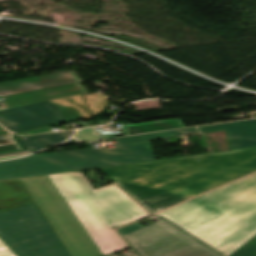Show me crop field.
Listing matches in <instances>:
<instances>
[{"label": "crop field", "instance_id": "cbeb9de0", "mask_svg": "<svg viewBox=\"0 0 256 256\" xmlns=\"http://www.w3.org/2000/svg\"><path fill=\"white\" fill-rule=\"evenodd\" d=\"M84 97L92 115L104 110L108 101L105 96L99 93L88 94Z\"/></svg>", "mask_w": 256, "mask_h": 256}, {"label": "crop field", "instance_id": "8a807250", "mask_svg": "<svg viewBox=\"0 0 256 256\" xmlns=\"http://www.w3.org/2000/svg\"><path fill=\"white\" fill-rule=\"evenodd\" d=\"M100 170L153 214L256 171V148Z\"/></svg>", "mask_w": 256, "mask_h": 256}, {"label": "crop field", "instance_id": "3316defc", "mask_svg": "<svg viewBox=\"0 0 256 256\" xmlns=\"http://www.w3.org/2000/svg\"><path fill=\"white\" fill-rule=\"evenodd\" d=\"M81 80L73 73H61L37 78L22 79L0 83V97L24 93L28 91L54 87Z\"/></svg>", "mask_w": 256, "mask_h": 256}, {"label": "crop field", "instance_id": "e52e79f7", "mask_svg": "<svg viewBox=\"0 0 256 256\" xmlns=\"http://www.w3.org/2000/svg\"><path fill=\"white\" fill-rule=\"evenodd\" d=\"M139 256H213L160 221L117 230Z\"/></svg>", "mask_w": 256, "mask_h": 256}, {"label": "crop field", "instance_id": "f4fd0767", "mask_svg": "<svg viewBox=\"0 0 256 256\" xmlns=\"http://www.w3.org/2000/svg\"><path fill=\"white\" fill-rule=\"evenodd\" d=\"M33 203L18 179L0 181V237L18 256H70Z\"/></svg>", "mask_w": 256, "mask_h": 256}, {"label": "crop field", "instance_id": "92a150f3", "mask_svg": "<svg viewBox=\"0 0 256 256\" xmlns=\"http://www.w3.org/2000/svg\"><path fill=\"white\" fill-rule=\"evenodd\" d=\"M110 256H116L115 254H113V255H110Z\"/></svg>", "mask_w": 256, "mask_h": 256}, {"label": "crop field", "instance_id": "bc2a9ffb", "mask_svg": "<svg viewBox=\"0 0 256 256\" xmlns=\"http://www.w3.org/2000/svg\"><path fill=\"white\" fill-rule=\"evenodd\" d=\"M73 142H78V141H76V140H74V139H71V140H69L68 142L63 143V144H69V143H73ZM63 144H61V145H63Z\"/></svg>", "mask_w": 256, "mask_h": 256}, {"label": "crop field", "instance_id": "d8731c3e", "mask_svg": "<svg viewBox=\"0 0 256 256\" xmlns=\"http://www.w3.org/2000/svg\"><path fill=\"white\" fill-rule=\"evenodd\" d=\"M77 118H90L81 95L0 111V123L13 132Z\"/></svg>", "mask_w": 256, "mask_h": 256}, {"label": "crop field", "instance_id": "dd49c442", "mask_svg": "<svg viewBox=\"0 0 256 256\" xmlns=\"http://www.w3.org/2000/svg\"><path fill=\"white\" fill-rule=\"evenodd\" d=\"M19 181L73 256H102L47 175Z\"/></svg>", "mask_w": 256, "mask_h": 256}, {"label": "crop field", "instance_id": "4a817a6b", "mask_svg": "<svg viewBox=\"0 0 256 256\" xmlns=\"http://www.w3.org/2000/svg\"><path fill=\"white\" fill-rule=\"evenodd\" d=\"M49 131H52L51 127L50 126H45V127H40V128L31 130V131H28V132L19 133V134H21V135H30V134H36V133L49 132Z\"/></svg>", "mask_w": 256, "mask_h": 256}, {"label": "crop field", "instance_id": "5a996713", "mask_svg": "<svg viewBox=\"0 0 256 256\" xmlns=\"http://www.w3.org/2000/svg\"><path fill=\"white\" fill-rule=\"evenodd\" d=\"M74 131L40 134V135H34V136H28V137H19L18 140L24 146L26 151L0 155V160L29 154L34 151L40 150L44 147H48L50 145L60 143L68 139L73 134ZM17 150H22V149L15 142L13 138V134H11L10 132H8L7 130H5L0 126V153L17 151Z\"/></svg>", "mask_w": 256, "mask_h": 256}, {"label": "crop field", "instance_id": "733c2abd", "mask_svg": "<svg viewBox=\"0 0 256 256\" xmlns=\"http://www.w3.org/2000/svg\"><path fill=\"white\" fill-rule=\"evenodd\" d=\"M0 256H17V255L0 239Z\"/></svg>", "mask_w": 256, "mask_h": 256}, {"label": "crop field", "instance_id": "214f88e0", "mask_svg": "<svg viewBox=\"0 0 256 256\" xmlns=\"http://www.w3.org/2000/svg\"><path fill=\"white\" fill-rule=\"evenodd\" d=\"M252 117H256V113H253V114H252Z\"/></svg>", "mask_w": 256, "mask_h": 256}, {"label": "crop field", "instance_id": "412701ff", "mask_svg": "<svg viewBox=\"0 0 256 256\" xmlns=\"http://www.w3.org/2000/svg\"><path fill=\"white\" fill-rule=\"evenodd\" d=\"M197 133L195 128L117 138L115 148L90 149L40 155L0 162V180L94 169L155 160L148 140Z\"/></svg>", "mask_w": 256, "mask_h": 256}, {"label": "crop field", "instance_id": "d1516ede", "mask_svg": "<svg viewBox=\"0 0 256 256\" xmlns=\"http://www.w3.org/2000/svg\"><path fill=\"white\" fill-rule=\"evenodd\" d=\"M86 93L80 84L3 98L0 110Z\"/></svg>", "mask_w": 256, "mask_h": 256}, {"label": "crop field", "instance_id": "28ad6ade", "mask_svg": "<svg viewBox=\"0 0 256 256\" xmlns=\"http://www.w3.org/2000/svg\"><path fill=\"white\" fill-rule=\"evenodd\" d=\"M199 129L201 132L226 129L232 150L256 147V119L201 126Z\"/></svg>", "mask_w": 256, "mask_h": 256}, {"label": "crop field", "instance_id": "34b2d1b8", "mask_svg": "<svg viewBox=\"0 0 256 256\" xmlns=\"http://www.w3.org/2000/svg\"><path fill=\"white\" fill-rule=\"evenodd\" d=\"M82 174L76 171L49 177L103 255L128 248L112 228L148 214L114 184L94 191Z\"/></svg>", "mask_w": 256, "mask_h": 256}, {"label": "crop field", "instance_id": "5142ce71", "mask_svg": "<svg viewBox=\"0 0 256 256\" xmlns=\"http://www.w3.org/2000/svg\"><path fill=\"white\" fill-rule=\"evenodd\" d=\"M229 256H256V235Z\"/></svg>", "mask_w": 256, "mask_h": 256}, {"label": "crop field", "instance_id": "d9b57169", "mask_svg": "<svg viewBox=\"0 0 256 256\" xmlns=\"http://www.w3.org/2000/svg\"><path fill=\"white\" fill-rule=\"evenodd\" d=\"M96 128H88V129L80 130L74 137L80 141L105 138V137H114L113 135H107V136L95 135L94 131Z\"/></svg>", "mask_w": 256, "mask_h": 256}, {"label": "crop field", "instance_id": "ac0d7876", "mask_svg": "<svg viewBox=\"0 0 256 256\" xmlns=\"http://www.w3.org/2000/svg\"><path fill=\"white\" fill-rule=\"evenodd\" d=\"M155 217L228 256L256 234V173Z\"/></svg>", "mask_w": 256, "mask_h": 256}, {"label": "crop field", "instance_id": "22f410ed", "mask_svg": "<svg viewBox=\"0 0 256 256\" xmlns=\"http://www.w3.org/2000/svg\"><path fill=\"white\" fill-rule=\"evenodd\" d=\"M183 127L179 119L145 124L124 125L125 135Z\"/></svg>", "mask_w": 256, "mask_h": 256}]
</instances>
